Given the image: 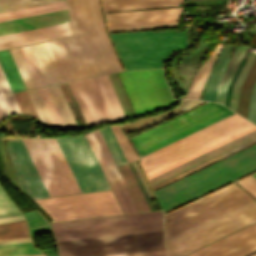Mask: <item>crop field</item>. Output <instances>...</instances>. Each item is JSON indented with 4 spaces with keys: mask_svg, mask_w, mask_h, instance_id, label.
Here are the masks:
<instances>
[{
    "mask_svg": "<svg viewBox=\"0 0 256 256\" xmlns=\"http://www.w3.org/2000/svg\"><path fill=\"white\" fill-rule=\"evenodd\" d=\"M255 27H256V24H255Z\"/></svg>",
    "mask_w": 256,
    "mask_h": 256,
    "instance_id": "obj_56",
    "label": "crop field"
},
{
    "mask_svg": "<svg viewBox=\"0 0 256 256\" xmlns=\"http://www.w3.org/2000/svg\"><path fill=\"white\" fill-rule=\"evenodd\" d=\"M50 196L82 193L55 139H22Z\"/></svg>",
    "mask_w": 256,
    "mask_h": 256,
    "instance_id": "obj_9",
    "label": "crop field"
},
{
    "mask_svg": "<svg viewBox=\"0 0 256 256\" xmlns=\"http://www.w3.org/2000/svg\"><path fill=\"white\" fill-rule=\"evenodd\" d=\"M25 241H30L29 238H24V239H12V240H1V243H13V242H25Z\"/></svg>",
    "mask_w": 256,
    "mask_h": 256,
    "instance_id": "obj_52",
    "label": "crop field"
},
{
    "mask_svg": "<svg viewBox=\"0 0 256 256\" xmlns=\"http://www.w3.org/2000/svg\"><path fill=\"white\" fill-rule=\"evenodd\" d=\"M183 3V0H103L105 12L171 7Z\"/></svg>",
    "mask_w": 256,
    "mask_h": 256,
    "instance_id": "obj_22",
    "label": "crop field"
},
{
    "mask_svg": "<svg viewBox=\"0 0 256 256\" xmlns=\"http://www.w3.org/2000/svg\"><path fill=\"white\" fill-rule=\"evenodd\" d=\"M4 98L12 112L21 113L12 94L4 95Z\"/></svg>",
    "mask_w": 256,
    "mask_h": 256,
    "instance_id": "obj_48",
    "label": "crop field"
},
{
    "mask_svg": "<svg viewBox=\"0 0 256 256\" xmlns=\"http://www.w3.org/2000/svg\"><path fill=\"white\" fill-rule=\"evenodd\" d=\"M0 88L2 90V93H9V92H12L9 85H8V82L5 78V75L1 69V66H0Z\"/></svg>",
    "mask_w": 256,
    "mask_h": 256,
    "instance_id": "obj_49",
    "label": "crop field"
},
{
    "mask_svg": "<svg viewBox=\"0 0 256 256\" xmlns=\"http://www.w3.org/2000/svg\"><path fill=\"white\" fill-rule=\"evenodd\" d=\"M253 126L234 114L141 158L146 176Z\"/></svg>",
    "mask_w": 256,
    "mask_h": 256,
    "instance_id": "obj_5",
    "label": "crop field"
},
{
    "mask_svg": "<svg viewBox=\"0 0 256 256\" xmlns=\"http://www.w3.org/2000/svg\"><path fill=\"white\" fill-rule=\"evenodd\" d=\"M66 128H77L58 85L48 87Z\"/></svg>",
    "mask_w": 256,
    "mask_h": 256,
    "instance_id": "obj_30",
    "label": "crop field"
},
{
    "mask_svg": "<svg viewBox=\"0 0 256 256\" xmlns=\"http://www.w3.org/2000/svg\"><path fill=\"white\" fill-rule=\"evenodd\" d=\"M27 89L36 87L18 48L9 49Z\"/></svg>",
    "mask_w": 256,
    "mask_h": 256,
    "instance_id": "obj_38",
    "label": "crop field"
},
{
    "mask_svg": "<svg viewBox=\"0 0 256 256\" xmlns=\"http://www.w3.org/2000/svg\"><path fill=\"white\" fill-rule=\"evenodd\" d=\"M27 92H28V94H29V96L31 98V101H32L35 109H36V112H37V114H38V116L40 118V121L42 123L50 126V127H53L51 122H50V119H49V117H48V115L46 113V110H45V108L43 106V103H42V101H41V99L39 97V94H38L37 90L34 89V90H29Z\"/></svg>",
    "mask_w": 256,
    "mask_h": 256,
    "instance_id": "obj_39",
    "label": "crop field"
},
{
    "mask_svg": "<svg viewBox=\"0 0 256 256\" xmlns=\"http://www.w3.org/2000/svg\"><path fill=\"white\" fill-rule=\"evenodd\" d=\"M54 127L65 128L47 87L37 89Z\"/></svg>",
    "mask_w": 256,
    "mask_h": 256,
    "instance_id": "obj_32",
    "label": "crop field"
},
{
    "mask_svg": "<svg viewBox=\"0 0 256 256\" xmlns=\"http://www.w3.org/2000/svg\"><path fill=\"white\" fill-rule=\"evenodd\" d=\"M25 256H44L43 254H37V255H25Z\"/></svg>",
    "mask_w": 256,
    "mask_h": 256,
    "instance_id": "obj_54",
    "label": "crop field"
},
{
    "mask_svg": "<svg viewBox=\"0 0 256 256\" xmlns=\"http://www.w3.org/2000/svg\"><path fill=\"white\" fill-rule=\"evenodd\" d=\"M256 168V145L157 191L163 211Z\"/></svg>",
    "mask_w": 256,
    "mask_h": 256,
    "instance_id": "obj_2",
    "label": "crop field"
},
{
    "mask_svg": "<svg viewBox=\"0 0 256 256\" xmlns=\"http://www.w3.org/2000/svg\"><path fill=\"white\" fill-rule=\"evenodd\" d=\"M59 256H109L165 249L162 231L56 242Z\"/></svg>",
    "mask_w": 256,
    "mask_h": 256,
    "instance_id": "obj_7",
    "label": "crop field"
},
{
    "mask_svg": "<svg viewBox=\"0 0 256 256\" xmlns=\"http://www.w3.org/2000/svg\"><path fill=\"white\" fill-rule=\"evenodd\" d=\"M204 101L202 100H197V99H187V100H183L182 104L174 109L171 110L169 112H166L164 114H159V115H155V116H151V117H147V118H142V119H138L135 122L129 123V124H124L121 125V127L124 129L125 132H130V131H134V130H138L141 128H145L148 126H151L155 123H158L162 120H165L167 118H170L174 115H177L189 108H192L200 103H202Z\"/></svg>",
    "mask_w": 256,
    "mask_h": 256,
    "instance_id": "obj_23",
    "label": "crop field"
},
{
    "mask_svg": "<svg viewBox=\"0 0 256 256\" xmlns=\"http://www.w3.org/2000/svg\"><path fill=\"white\" fill-rule=\"evenodd\" d=\"M232 46L225 45L207 82L205 85V91H204V100L212 101L214 102L215 99V93H216V87L217 84L229 62V58H227Z\"/></svg>",
    "mask_w": 256,
    "mask_h": 256,
    "instance_id": "obj_25",
    "label": "crop field"
},
{
    "mask_svg": "<svg viewBox=\"0 0 256 256\" xmlns=\"http://www.w3.org/2000/svg\"><path fill=\"white\" fill-rule=\"evenodd\" d=\"M0 190H1V188H0Z\"/></svg>",
    "mask_w": 256,
    "mask_h": 256,
    "instance_id": "obj_58",
    "label": "crop field"
},
{
    "mask_svg": "<svg viewBox=\"0 0 256 256\" xmlns=\"http://www.w3.org/2000/svg\"><path fill=\"white\" fill-rule=\"evenodd\" d=\"M30 47V46H29ZM28 46L19 48L37 87L46 85Z\"/></svg>",
    "mask_w": 256,
    "mask_h": 256,
    "instance_id": "obj_36",
    "label": "crop field"
},
{
    "mask_svg": "<svg viewBox=\"0 0 256 256\" xmlns=\"http://www.w3.org/2000/svg\"><path fill=\"white\" fill-rule=\"evenodd\" d=\"M243 189L256 199V180L251 176L237 182Z\"/></svg>",
    "mask_w": 256,
    "mask_h": 256,
    "instance_id": "obj_42",
    "label": "crop field"
},
{
    "mask_svg": "<svg viewBox=\"0 0 256 256\" xmlns=\"http://www.w3.org/2000/svg\"><path fill=\"white\" fill-rule=\"evenodd\" d=\"M67 5L74 37L44 43L61 81L121 71L99 0H67Z\"/></svg>",
    "mask_w": 256,
    "mask_h": 256,
    "instance_id": "obj_1",
    "label": "crop field"
},
{
    "mask_svg": "<svg viewBox=\"0 0 256 256\" xmlns=\"http://www.w3.org/2000/svg\"><path fill=\"white\" fill-rule=\"evenodd\" d=\"M126 70L161 67L175 49L186 46L187 30H151L110 34Z\"/></svg>",
    "mask_w": 256,
    "mask_h": 256,
    "instance_id": "obj_3",
    "label": "crop field"
},
{
    "mask_svg": "<svg viewBox=\"0 0 256 256\" xmlns=\"http://www.w3.org/2000/svg\"><path fill=\"white\" fill-rule=\"evenodd\" d=\"M33 213L39 218L28 220L30 228L48 225L37 210L33 211Z\"/></svg>",
    "mask_w": 256,
    "mask_h": 256,
    "instance_id": "obj_47",
    "label": "crop field"
},
{
    "mask_svg": "<svg viewBox=\"0 0 256 256\" xmlns=\"http://www.w3.org/2000/svg\"><path fill=\"white\" fill-rule=\"evenodd\" d=\"M56 241L162 230L161 211L51 223Z\"/></svg>",
    "mask_w": 256,
    "mask_h": 256,
    "instance_id": "obj_6",
    "label": "crop field"
},
{
    "mask_svg": "<svg viewBox=\"0 0 256 256\" xmlns=\"http://www.w3.org/2000/svg\"><path fill=\"white\" fill-rule=\"evenodd\" d=\"M256 251V224L188 256H246Z\"/></svg>",
    "mask_w": 256,
    "mask_h": 256,
    "instance_id": "obj_17",
    "label": "crop field"
},
{
    "mask_svg": "<svg viewBox=\"0 0 256 256\" xmlns=\"http://www.w3.org/2000/svg\"><path fill=\"white\" fill-rule=\"evenodd\" d=\"M116 164L127 163L109 126L99 129Z\"/></svg>",
    "mask_w": 256,
    "mask_h": 256,
    "instance_id": "obj_34",
    "label": "crop field"
},
{
    "mask_svg": "<svg viewBox=\"0 0 256 256\" xmlns=\"http://www.w3.org/2000/svg\"><path fill=\"white\" fill-rule=\"evenodd\" d=\"M254 256H256V255H254Z\"/></svg>",
    "mask_w": 256,
    "mask_h": 256,
    "instance_id": "obj_57",
    "label": "crop field"
},
{
    "mask_svg": "<svg viewBox=\"0 0 256 256\" xmlns=\"http://www.w3.org/2000/svg\"><path fill=\"white\" fill-rule=\"evenodd\" d=\"M248 120L256 124V85L253 89Z\"/></svg>",
    "mask_w": 256,
    "mask_h": 256,
    "instance_id": "obj_46",
    "label": "crop field"
},
{
    "mask_svg": "<svg viewBox=\"0 0 256 256\" xmlns=\"http://www.w3.org/2000/svg\"><path fill=\"white\" fill-rule=\"evenodd\" d=\"M36 201L55 221L121 213L110 191Z\"/></svg>",
    "mask_w": 256,
    "mask_h": 256,
    "instance_id": "obj_13",
    "label": "crop field"
},
{
    "mask_svg": "<svg viewBox=\"0 0 256 256\" xmlns=\"http://www.w3.org/2000/svg\"><path fill=\"white\" fill-rule=\"evenodd\" d=\"M7 112H8V110H7V108H6L5 104H4V101H3V99H2V97H1V95H0V118H1L4 114H6Z\"/></svg>",
    "mask_w": 256,
    "mask_h": 256,
    "instance_id": "obj_51",
    "label": "crop field"
},
{
    "mask_svg": "<svg viewBox=\"0 0 256 256\" xmlns=\"http://www.w3.org/2000/svg\"><path fill=\"white\" fill-rule=\"evenodd\" d=\"M63 5H65L64 1L47 4V5H42V6H37V7L16 10V11H11V12H6V13H1L0 17L16 15V14H21V13H26V12H31V11H37V10H42V9H47V8H52V7H58V6H63Z\"/></svg>",
    "mask_w": 256,
    "mask_h": 256,
    "instance_id": "obj_41",
    "label": "crop field"
},
{
    "mask_svg": "<svg viewBox=\"0 0 256 256\" xmlns=\"http://www.w3.org/2000/svg\"><path fill=\"white\" fill-rule=\"evenodd\" d=\"M13 95L22 113L34 115L38 118L26 91L15 93Z\"/></svg>",
    "mask_w": 256,
    "mask_h": 256,
    "instance_id": "obj_40",
    "label": "crop field"
},
{
    "mask_svg": "<svg viewBox=\"0 0 256 256\" xmlns=\"http://www.w3.org/2000/svg\"><path fill=\"white\" fill-rule=\"evenodd\" d=\"M22 219H25L23 215L12 216V217H5V218H0V223L11 222V221H16V220H22Z\"/></svg>",
    "mask_w": 256,
    "mask_h": 256,
    "instance_id": "obj_50",
    "label": "crop field"
},
{
    "mask_svg": "<svg viewBox=\"0 0 256 256\" xmlns=\"http://www.w3.org/2000/svg\"><path fill=\"white\" fill-rule=\"evenodd\" d=\"M181 8L105 14L106 21L176 16ZM178 17V16H177ZM177 17L107 22L108 27L176 22Z\"/></svg>",
    "mask_w": 256,
    "mask_h": 256,
    "instance_id": "obj_20",
    "label": "crop field"
},
{
    "mask_svg": "<svg viewBox=\"0 0 256 256\" xmlns=\"http://www.w3.org/2000/svg\"><path fill=\"white\" fill-rule=\"evenodd\" d=\"M254 129H256L255 126L249 128V129H247V130H245V131H243V132H241V133H239L237 135H234V136H232V137H230V138H228V139H226V140H224V141H222L220 143H217V144H215V145H213V146H211V147H209V148H207V149H205V150H203L201 152H198V153H196V154H194V155H192V156H190V157H188V158H186L184 160H181V161H179V162H177V163H175V164H173V165H171V166H169V167H167L165 169H162V170H160V171H158V172L148 176V179H151V178H153V177H155V176H157V175H159V174H161V173H163V172H165L167 170H170V169H172V168H174V167H176V166H178V165H180V164H182L184 162H187V161H189V160H191V159H193V158H195V157H197V156H199V155H201L203 153H206V152H208V151H210V150H212V149H214V148H216V147H218L220 145H223V144H225V143H227V142H229V141H231V140H233V139H235V138H237L239 136H242V135H244V134H246V133H248V132H250V131H252ZM255 137H256V130H254V131H252V132H250V133H248V134H246V135H244V136H242L240 138H237V139H235V140H233V141H231V142H229V143H227V144H225L223 146H220V147H218V148H216V149H214V150H212V151H210V152H208V153H206L204 155H201V156H199V157H197V158H195V159H193V160H191V161H189L187 163H184V164H182V165H180V166H178V167H176V168H174V169H172V170H170L168 172H165V173H163V174H161V175H159V176H157V177H155V178H153V179H151L149 181H150L151 185L157 184V183H159V182H161V181H163V180H165V179H167L169 177H172V176H174V175H176V174H178V173H180V172H182V171H184L186 169H189V168H191V167H193V166H195V165H197V164H199L201 162H204V161H206V160H208V159H210V158H212V157H214V156H216L218 154H221V153H223V152H225V151H227V150H229V149H231L233 147H236V146H238V145H240V144H242V143H244V142H246V141H248L250 139H253ZM255 142H256V138L253 139V140H250V141H248V142H246V143H244V144H242V145H240V146H238L236 148H233V149H231V150H229V151H227V152H225V153H223L221 155H218V156H216V157H214V158H212V159H210V160H208V161H206L204 163H201V164H199V165H197V166H195V167H193V168H191L189 170H186V171H184V172H182V173H180V174H178V175H176V176H174L172 178H169V179H167V180H165V181H163V182L153 186L152 188H153V190H155V189H157V188H159V187H161V186H163V185H165L167 183H170V182H172V181H174V180H176V179H178V178H180L182 176H185V175H187V174H189V173H191V172H193V171H195L197 169H200V168H202V167H204V166H206V165H208L210 163H213V162H215V161H217V160H219V159H221V158H223L225 156H228V155H230V154H232V153H234V152H236V151H238L240 149H243V148H245V147H247V146H249V145H251V144H253Z\"/></svg>",
    "mask_w": 256,
    "mask_h": 256,
    "instance_id": "obj_15",
    "label": "crop field"
},
{
    "mask_svg": "<svg viewBox=\"0 0 256 256\" xmlns=\"http://www.w3.org/2000/svg\"><path fill=\"white\" fill-rule=\"evenodd\" d=\"M71 35L70 25L62 24L0 36V50L47 40H53Z\"/></svg>",
    "mask_w": 256,
    "mask_h": 256,
    "instance_id": "obj_19",
    "label": "crop field"
},
{
    "mask_svg": "<svg viewBox=\"0 0 256 256\" xmlns=\"http://www.w3.org/2000/svg\"><path fill=\"white\" fill-rule=\"evenodd\" d=\"M62 0H0V13Z\"/></svg>",
    "mask_w": 256,
    "mask_h": 256,
    "instance_id": "obj_35",
    "label": "crop field"
},
{
    "mask_svg": "<svg viewBox=\"0 0 256 256\" xmlns=\"http://www.w3.org/2000/svg\"><path fill=\"white\" fill-rule=\"evenodd\" d=\"M126 188L127 191L137 209L138 212L149 211L150 208L128 166V164L117 166L116 167Z\"/></svg>",
    "mask_w": 256,
    "mask_h": 256,
    "instance_id": "obj_24",
    "label": "crop field"
},
{
    "mask_svg": "<svg viewBox=\"0 0 256 256\" xmlns=\"http://www.w3.org/2000/svg\"><path fill=\"white\" fill-rule=\"evenodd\" d=\"M0 64L13 92L26 89L8 49L0 51Z\"/></svg>",
    "mask_w": 256,
    "mask_h": 256,
    "instance_id": "obj_27",
    "label": "crop field"
},
{
    "mask_svg": "<svg viewBox=\"0 0 256 256\" xmlns=\"http://www.w3.org/2000/svg\"><path fill=\"white\" fill-rule=\"evenodd\" d=\"M222 45H218V47L215 49V51L212 53V55L209 57V59L206 61V63L201 67V69L196 74L193 83L189 89V92L186 96V98L190 97H196L198 98L201 90L205 84V81L208 77V74L212 68V65L221 49Z\"/></svg>",
    "mask_w": 256,
    "mask_h": 256,
    "instance_id": "obj_29",
    "label": "crop field"
},
{
    "mask_svg": "<svg viewBox=\"0 0 256 256\" xmlns=\"http://www.w3.org/2000/svg\"><path fill=\"white\" fill-rule=\"evenodd\" d=\"M176 23H170V24H156V25H142V26H128V27H114V28H108L110 32L115 31H126V30H137V29H147V28H158V27H169V26H175Z\"/></svg>",
    "mask_w": 256,
    "mask_h": 256,
    "instance_id": "obj_43",
    "label": "crop field"
},
{
    "mask_svg": "<svg viewBox=\"0 0 256 256\" xmlns=\"http://www.w3.org/2000/svg\"><path fill=\"white\" fill-rule=\"evenodd\" d=\"M256 221L251 199L165 240L168 256H183Z\"/></svg>",
    "mask_w": 256,
    "mask_h": 256,
    "instance_id": "obj_4",
    "label": "crop field"
},
{
    "mask_svg": "<svg viewBox=\"0 0 256 256\" xmlns=\"http://www.w3.org/2000/svg\"><path fill=\"white\" fill-rule=\"evenodd\" d=\"M64 9H66L65 6L58 7V8L47 9V10H42V11H37V12L26 13V14H21V15H16V16H11V17L0 18V22L1 21H6V20H11V19L27 17V16H32V15H38V14L53 12V11L64 10Z\"/></svg>",
    "mask_w": 256,
    "mask_h": 256,
    "instance_id": "obj_45",
    "label": "crop field"
},
{
    "mask_svg": "<svg viewBox=\"0 0 256 256\" xmlns=\"http://www.w3.org/2000/svg\"><path fill=\"white\" fill-rule=\"evenodd\" d=\"M123 212H137L115 168L116 164L98 129L85 135Z\"/></svg>",
    "mask_w": 256,
    "mask_h": 256,
    "instance_id": "obj_16",
    "label": "crop field"
},
{
    "mask_svg": "<svg viewBox=\"0 0 256 256\" xmlns=\"http://www.w3.org/2000/svg\"><path fill=\"white\" fill-rule=\"evenodd\" d=\"M69 22L67 12L59 11L0 23V35Z\"/></svg>",
    "mask_w": 256,
    "mask_h": 256,
    "instance_id": "obj_21",
    "label": "crop field"
},
{
    "mask_svg": "<svg viewBox=\"0 0 256 256\" xmlns=\"http://www.w3.org/2000/svg\"><path fill=\"white\" fill-rule=\"evenodd\" d=\"M232 113L223 105L207 103L131 140L142 156Z\"/></svg>",
    "mask_w": 256,
    "mask_h": 256,
    "instance_id": "obj_8",
    "label": "crop field"
},
{
    "mask_svg": "<svg viewBox=\"0 0 256 256\" xmlns=\"http://www.w3.org/2000/svg\"><path fill=\"white\" fill-rule=\"evenodd\" d=\"M29 237L26 220L0 225V239Z\"/></svg>",
    "mask_w": 256,
    "mask_h": 256,
    "instance_id": "obj_31",
    "label": "crop field"
},
{
    "mask_svg": "<svg viewBox=\"0 0 256 256\" xmlns=\"http://www.w3.org/2000/svg\"><path fill=\"white\" fill-rule=\"evenodd\" d=\"M30 49L47 85L61 82L43 43L31 45Z\"/></svg>",
    "mask_w": 256,
    "mask_h": 256,
    "instance_id": "obj_26",
    "label": "crop field"
},
{
    "mask_svg": "<svg viewBox=\"0 0 256 256\" xmlns=\"http://www.w3.org/2000/svg\"><path fill=\"white\" fill-rule=\"evenodd\" d=\"M69 84L88 126L126 118L107 76Z\"/></svg>",
    "mask_w": 256,
    "mask_h": 256,
    "instance_id": "obj_11",
    "label": "crop field"
},
{
    "mask_svg": "<svg viewBox=\"0 0 256 256\" xmlns=\"http://www.w3.org/2000/svg\"><path fill=\"white\" fill-rule=\"evenodd\" d=\"M7 151L19 175L22 190L33 198L48 196L20 139H10Z\"/></svg>",
    "mask_w": 256,
    "mask_h": 256,
    "instance_id": "obj_18",
    "label": "crop field"
},
{
    "mask_svg": "<svg viewBox=\"0 0 256 256\" xmlns=\"http://www.w3.org/2000/svg\"><path fill=\"white\" fill-rule=\"evenodd\" d=\"M56 140L83 193L111 189L84 135Z\"/></svg>",
    "mask_w": 256,
    "mask_h": 256,
    "instance_id": "obj_14",
    "label": "crop field"
},
{
    "mask_svg": "<svg viewBox=\"0 0 256 256\" xmlns=\"http://www.w3.org/2000/svg\"><path fill=\"white\" fill-rule=\"evenodd\" d=\"M251 199L231 184L164 216L165 239Z\"/></svg>",
    "mask_w": 256,
    "mask_h": 256,
    "instance_id": "obj_10",
    "label": "crop field"
},
{
    "mask_svg": "<svg viewBox=\"0 0 256 256\" xmlns=\"http://www.w3.org/2000/svg\"><path fill=\"white\" fill-rule=\"evenodd\" d=\"M118 143L119 146L127 160V162H132L138 160L137 154L132 149L128 139L124 136L119 126H110Z\"/></svg>",
    "mask_w": 256,
    "mask_h": 256,
    "instance_id": "obj_37",
    "label": "crop field"
},
{
    "mask_svg": "<svg viewBox=\"0 0 256 256\" xmlns=\"http://www.w3.org/2000/svg\"><path fill=\"white\" fill-rule=\"evenodd\" d=\"M165 107L173 99L167 89L162 69L148 70ZM147 70L117 73L136 115L163 108V101ZM174 102V101H173Z\"/></svg>",
    "mask_w": 256,
    "mask_h": 256,
    "instance_id": "obj_12",
    "label": "crop field"
},
{
    "mask_svg": "<svg viewBox=\"0 0 256 256\" xmlns=\"http://www.w3.org/2000/svg\"><path fill=\"white\" fill-rule=\"evenodd\" d=\"M252 177H254L255 179H256V173L255 174H253V175H251Z\"/></svg>",
    "mask_w": 256,
    "mask_h": 256,
    "instance_id": "obj_55",
    "label": "crop field"
},
{
    "mask_svg": "<svg viewBox=\"0 0 256 256\" xmlns=\"http://www.w3.org/2000/svg\"><path fill=\"white\" fill-rule=\"evenodd\" d=\"M37 253L40 252L33 247L31 242L0 245V256H13Z\"/></svg>",
    "mask_w": 256,
    "mask_h": 256,
    "instance_id": "obj_33",
    "label": "crop field"
},
{
    "mask_svg": "<svg viewBox=\"0 0 256 256\" xmlns=\"http://www.w3.org/2000/svg\"><path fill=\"white\" fill-rule=\"evenodd\" d=\"M245 50H246L245 47L237 46V48L232 56V59L218 84L215 102L224 104L227 86H228Z\"/></svg>",
    "mask_w": 256,
    "mask_h": 256,
    "instance_id": "obj_28",
    "label": "crop field"
},
{
    "mask_svg": "<svg viewBox=\"0 0 256 256\" xmlns=\"http://www.w3.org/2000/svg\"><path fill=\"white\" fill-rule=\"evenodd\" d=\"M19 214H21L19 211L8 212V213H0V217L12 216V215H19Z\"/></svg>",
    "mask_w": 256,
    "mask_h": 256,
    "instance_id": "obj_53",
    "label": "crop field"
},
{
    "mask_svg": "<svg viewBox=\"0 0 256 256\" xmlns=\"http://www.w3.org/2000/svg\"><path fill=\"white\" fill-rule=\"evenodd\" d=\"M16 207L8 199L3 191H0V212L15 211Z\"/></svg>",
    "mask_w": 256,
    "mask_h": 256,
    "instance_id": "obj_44",
    "label": "crop field"
}]
</instances>
